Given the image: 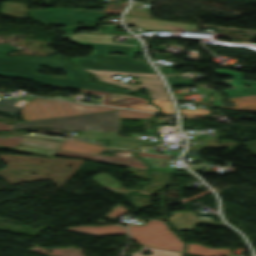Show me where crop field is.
<instances>
[{
	"label": "crop field",
	"mask_w": 256,
	"mask_h": 256,
	"mask_svg": "<svg viewBox=\"0 0 256 256\" xmlns=\"http://www.w3.org/2000/svg\"><path fill=\"white\" fill-rule=\"evenodd\" d=\"M43 85L72 88V87L59 86V85H53V84H47V83H43ZM72 89H78V88H72ZM79 90L82 93L101 95V104H104V105L159 112V109L157 107L153 105H149L150 103L148 104L147 101L138 97L114 94V93H108V92H102V91L86 90V89H79Z\"/></svg>",
	"instance_id": "5a996713"
},
{
	"label": "crop field",
	"mask_w": 256,
	"mask_h": 256,
	"mask_svg": "<svg viewBox=\"0 0 256 256\" xmlns=\"http://www.w3.org/2000/svg\"><path fill=\"white\" fill-rule=\"evenodd\" d=\"M99 80L120 85L122 87L128 88L133 91H137L142 87H146L151 94V98H157L162 100H169L165 90L163 89V84L160 79L153 78H139L141 85H128L124 84L116 79H113L111 75H101V74H93Z\"/></svg>",
	"instance_id": "3316defc"
},
{
	"label": "crop field",
	"mask_w": 256,
	"mask_h": 256,
	"mask_svg": "<svg viewBox=\"0 0 256 256\" xmlns=\"http://www.w3.org/2000/svg\"><path fill=\"white\" fill-rule=\"evenodd\" d=\"M188 254L199 255V256H229V249H210L202 246L201 244H187ZM220 253V255H218Z\"/></svg>",
	"instance_id": "cbeb9de0"
},
{
	"label": "crop field",
	"mask_w": 256,
	"mask_h": 256,
	"mask_svg": "<svg viewBox=\"0 0 256 256\" xmlns=\"http://www.w3.org/2000/svg\"><path fill=\"white\" fill-rule=\"evenodd\" d=\"M163 75H169V74H163Z\"/></svg>",
	"instance_id": "e1f06a70"
},
{
	"label": "crop field",
	"mask_w": 256,
	"mask_h": 256,
	"mask_svg": "<svg viewBox=\"0 0 256 256\" xmlns=\"http://www.w3.org/2000/svg\"><path fill=\"white\" fill-rule=\"evenodd\" d=\"M141 248L142 249L140 251L130 254V256H142L141 254L147 250L153 252V255H150V256H180L181 254L179 252L155 249V248H150L145 246H142Z\"/></svg>",
	"instance_id": "214f88e0"
},
{
	"label": "crop field",
	"mask_w": 256,
	"mask_h": 256,
	"mask_svg": "<svg viewBox=\"0 0 256 256\" xmlns=\"http://www.w3.org/2000/svg\"><path fill=\"white\" fill-rule=\"evenodd\" d=\"M28 4L25 3H18V2H11V1H6L2 3V13L4 15H11V17H19V18H25V12ZM5 7H10V8H18L22 10H17V9H9ZM3 10H9V11H17V12H22V13H16V12H8V11H3Z\"/></svg>",
	"instance_id": "4a817a6b"
},
{
	"label": "crop field",
	"mask_w": 256,
	"mask_h": 256,
	"mask_svg": "<svg viewBox=\"0 0 256 256\" xmlns=\"http://www.w3.org/2000/svg\"><path fill=\"white\" fill-rule=\"evenodd\" d=\"M14 50L18 49L6 44L0 45V76L131 95L115 88L89 82L87 75L59 57L7 58L3 56L4 53ZM42 65L66 71L67 79L36 74Z\"/></svg>",
	"instance_id": "8a807250"
},
{
	"label": "crop field",
	"mask_w": 256,
	"mask_h": 256,
	"mask_svg": "<svg viewBox=\"0 0 256 256\" xmlns=\"http://www.w3.org/2000/svg\"><path fill=\"white\" fill-rule=\"evenodd\" d=\"M92 179H94L97 183L101 184L102 186L106 187L107 189L115 193H118V194L126 193V190L120 185L119 181H117L116 179H114L113 177H111L105 172L100 173L98 176Z\"/></svg>",
	"instance_id": "733c2abd"
},
{
	"label": "crop field",
	"mask_w": 256,
	"mask_h": 256,
	"mask_svg": "<svg viewBox=\"0 0 256 256\" xmlns=\"http://www.w3.org/2000/svg\"><path fill=\"white\" fill-rule=\"evenodd\" d=\"M107 51L110 50L95 48L88 58L69 59L73 64L81 69L156 74L146 61L132 60L134 54L128 53V57L106 56Z\"/></svg>",
	"instance_id": "412701ff"
},
{
	"label": "crop field",
	"mask_w": 256,
	"mask_h": 256,
	"mask_svg": "<svg viewBox=\"0 0 256 256\" xmlns=\"http://www.w3.org/2000/svg\"><path fill=\"white\" fill-rule=\"evenodd\" d=\"M82 12V10L66 8H53L48 10L34 9L30 11L29 15L31 16V18L38 20L46 25H64V30L95 26L96 23L82 26L66 25L77 24L81 22H97V20L103 19L107 16L104 13L100 12L86 11L85 15H83Z\"/></svg>",
	"instance_id": "e52e79f7"
},
{
	"label": "crop field",
	"mask_w": 256,
	"mask_h": 256,
	"mask_svg": "<svg viewBox=\"0 0 256 256\" xmlns=\"http://www.w3.org/2000/svg\"><path fill=\"white\" fill-rule=\"evenodd\" d=\"M21 138L8 137L6 139H0V145L15 147Z\"/></svg>",
	"instance_id": "730fd06b"
},
{
	"label": "crop field",
	"mask_w": 256,
	"mask_h": 256,
	"mask_svg": "<svg viewBox=\"0 0 256 256\" xmlns=\"http://www.w3.org/2000/svg\"><path fill=\"white\" fill-rule=\"evenodd\" d=\"M127 170L133 172V175H135V176H140V177H145V178H148V177H149V176L146 174V171H147V170H144V169H139V168H134V167H128Z\"/></svg>",
	"instance_id": "d3111659"
},
{
	"label": "crop field",
	"mask_w": 256,
	"mask_h": 256,
	"mask_svg": "<svg viewBox=\"0 0 256 256\" xmlns=\"http://www.w3.org/2000/svg\"><path fill=\"white\" fill-rule=\"evenodd\" d=\"M152 174H153L152 183L145 186L140 192L151 193L170 183V173L152 171Z\"/></svg>",
	"instance_id": "d9b57169"
},
{
	"label": "crop field",
	"mask_w": 256,
	"mask_h": 256,
	"mask_svg": "<svg viewBox=\"0 0 256 256\" xmlns=\"http://www.w3.org/2000/svg\"><path fill=\"white\" fill-rule=\"evenodd\" d=\"M112 35L106 34H92V33H84V34H76L70 35V41L78 43L80 45L92 46L110 50L124 51L135 53L140 50V43L136 38L129 37L126 44L112 43L110 42V38Z\"/></svg>",
	"instance_id": "d8731c3e"
},
{
	"label": "crop field",
	"mask_w": 256,
	"mask_h": 256,
	"mask_svg": "<svg viewBox=\"0 0 256 256\" xmlns=\"http://www.w3.org/2000/svg\"><path fill=\"white\" fill-rule=\"evenodd\" d=\"M167 218L178 230L192 229L194 223L222 224L221 222H212L210 218L197 217L194 212H176Z\"/></svg>",
	"instance_id": "28ad6ade"
},
{
	"label": "crop field",
	"mask_w": 256,
	"mask_h": 256,
	"mask_svg": "<svg viewBox=\"0 0 256 256\" xmlns=\"http://www.w3.org/2000/svg\"><path fill=\"white\" fill-rule=\"evenodd\" d=\"M102 149H108L106 147H101L95 144L83 142L76 139L66 140L62 146L59 148L56 154L67 155L82 159L107 162L120 164L125 166H134L139 168H148V164L144 161L138 159L132 154V151L116 152V157L104 156V155H90L91 153H96Z\"/></svg>",
	"instance_id": "f4fd0767"
},
{
	"label": "crop field",
	"mask_w": 256,
	"mask_h": 256,
	"mask_svg": "<svg viewBox=\"0 0 256 256\" xmlns=\"http://www.w3.org/2000/svg\"><path fill=\"white\" fill-rule=\"evenodd\" d=\"M214 71L219 73L220 75H233L234 78L243 79L242 73H236L230 70H223V69H214Z\"/></svg>",
	"instance_id": "eef30255"
},
{
	"label": "crop field",
	"mask_w": 256,
	"mask_h": 256,
	"mask_svg": "<svg viewBox=\"0 0 256 256\" xmlns=\"http://www.w3.org/2000/svg\"><path fill=\"white\" fill-rule=\"evenodd\" d=\"M134 5H135V3H132V5L130 6V8L127 11L126 15H128V16H136V17L152 18V16L150 15L149 11L133 9Z\"/></svg>",
	"instance_id": "92a150f3"
},
{
	"label": "crop field",
	"mask_w": 256,
	"mask_h": 256,
	"mask_svg": "<svg viewBox=\"0 0 256 256\" xmlns=\"http://www.w3.org/2000/svg\"><path fill=\"white\" fill-rule=\"evenodd\" d=\"M153 103L160 106L163 109V113H174L172 105L168 101L152 99Z\"/></svg>",
	"instance_id": "00972430"
},
{
	"label": "crop field",
	"mask_w": 256,
	"mask_h": 256,
	"mask_svg": "<svg viewBox=\"0 0 256 256\" xmlns=\"http://www.w3.org/2000/svg\"><path fill=\"white\" fill-rule=\"evenodd\" d=\"M226 82L228 85H231L233 87V89L222 90L229 97L256 94V82L237 80V79H231ZM248 84H251L252 87L243 88ZM235 92H239V93L236 94Z\"/></svg>",
	"instance_id": "22f410ed"
},
{
	"label": "crop field",
	"mask_w": 256,
	"mask_h": 256,
	"mask_svg": "<svg viewBox=\"0 0 256 256\" xmlns=\"http://www.w3.org/2000/svg\"><path fill=\"white\" fill-rule=\"evenodd\" d=\"M118 208L119 209H117V207H115L113 209V212L108 214V215H106L105 217L110 218V219H114V218L118 217L119 215L127 212V210H123V206H121V205L118 206Z\"/></svg>",
	"instance_id": "ae1a2a85"
},
{
	"label": "crop field",
	"mask_w": 256,
	"mask_h": 256,
	"mask_svg": "<svg viewBox=\"0 0 256 256\" xmlns=\"http://www.w3.org/2000/svg\"><path fill=\"white\" fill-rule=\"evenodd\" d=\"M187 94H197V93L192 92ZM187 94H179V95H187ZM228 101L234 102L236 106H233V107L223 106L224 108H230V109H236V110H242V111H249V110L256 109V95L228 98ZM253 112H256V111H253Z\"/></svg>",
	"instance_id": "5142ce71"
},
{
	"label": "crop field",
	"mask_w": 256,
	"mask_h": 256,
	"mask_svg": "<svg viewBox=\"0 0 256 256\" xmlns=\"http://www.w3.org/2000/svg\"><path fill=\"white\" fill-rule=\"evenodd\" d=\"M89 71H90L91 73H101V74H120V75H136V76H152V77H159L158 75H150V74L108 72V71H97V70H89Z\"/></svg>",
	"instance_id": "a9b5d70f"
},
{
	"label": "crop field",
	"mask_w": 256,
	"mask_h": 256,
	"mask_svg": "<svg viewBox=\"0 0 256 256\" xmlns=\"http://www.w3.org/2000/svg\"><path fill=\"white\" fill-rule=\"evenodd\" d=\"M16 102V100L0 98V111L10 113V116L15 117L21 109L20 107L12 106Z\"/></svg>",
	"instance_id": "bc2a9ffb"
},
{
	"label": "crop field",
	"mask_w": 256,
	"mask_h": 256,
	"mask_svg": "<svg viewBox=\"0 0 256 256\" xmlns=\"http://www.w3.org/2000/svg\"><path fill=\"white\" fill-rule=\"evenodd\" d=\"M131 197L134 201V204H137V205L143 204L142 201L146 200V198H143V197H137V196H131Z\"/></svg>",
	"instance_id": "120bbe31"
},
{
	"label": "crop field",
	"mask_w": 256,
	"mask_h": 256,
	"mask_svg": "<svg viewBox=\"0 0 256 256\" xmlns=\"http://www.w3.org/2000/svg\"><path fill=\"white\" fill-rule=\"evenodd\" d=\"M182 114H210V110L207 109H189V110H181Z\"/></svg>",
	"instance_id": "750c4746"
},
{
	"label": "crop field",
	"mask_w": 256,
	"mask_h": 256,
	"mask_svg": "<svg viewBox=\"0 0 256 256\" xmlns=\"http://www.w3.org/2000/svg\"><path fill=\"white\" fill-rule=\"evenodd\" d=\"M110 110H119V117L149 118L153 113H146L134 110H123L105 106L80 105L75 102L34 98L21 109V114L25 121L78 115ZM153 116V115H152Z\"/></svg>",
	"instance_id": "34b2d1b8"
},
{
	"label": "crop field",
	"mask_w": 256,
	"mask_h": 256,
	"mask_svg": "<svg viewBox=\"0 0 256 256\" xmlns=\"http://www.w3.org/2000/svg\"><path fill=\"white\" fill-rule=\"evenodd\" d=\"M169 86L193 84L192 80L176 81L175 76L165 77Z\"/></svg>",
	"instance_id": "4177f3b9"
},
{
	"label": "crop field",
	"mask_w": 256,
	"mask_h": 256,
	"mask_svg": "<svg viewBox=\"0 0 256 256\" xmlns=\"http://www.w3.org/2000/svg\"><path fill=\"white\" fill-rule=\"evenodd\" d=\"M68 230L80 232L82 234L93 235V236L127 234L126 229L119 226L76 227V228H69Z\"/></svg>",
	"instance_id": "d1516ede"
},
{
	"label": "crop field",
	"mask_w": 256,
	"mask_h": 256,
	"mask_svg": "<svg viewBox=\"0 0 256 256\" xmlns=\"http://www.w3.org/2000/svg\"><path fill=\"white\" fill-rule=\"evenodd\" d=\"M128 229L131 232L132 239L139 244L183 252L184 243L174 233L170 232L167 225L162 221L151 219L143 226L130 225Z\"/></svg>",
	"instance_id": "dd49c442"
},
{
	"label": "crop field",
	"mask_w": 256,
	"mask_h": 256,
	"mask_svg": "<svg viewBox=\"0 0 256 256\" xmlns=\"http://www.w3.org/2000/svg\"><path fill=\"white\" fill-rule=\"evenodd\" d=\"M102 32H105V33H113V34H125V35H128V34H126L125 32H121V31L103 30Z\"/></svg>",
	"instance_id": "d32e631a"
},
{
	"label": "crop field",
	"mask_w": 256,
	"mask_h": 256,
	"mask_svg": "<svg viewBox=\"0 0 256 256\" xmlns=\"http://www.w3.org/2000/svg\"><path fill=\"white\" fill-rule=\"evenodd\" d=\"M117 125L118 111L20 122L14 124V130L27 127L81 130L75 137L91 140L99 138L111 139L110 146L125 149H134L141 143H156L154 141L117 136Z\"/></svg>",
	"instance_id": "ac0d7876"
},
{
	"label": "crop field",
	"mask_w": 256,
	"mask_h": 256,
	"mask_svg": "<svg viewBox=\"0 0 256 256\" xmlns=\"http://www.w3.org/2000/svg\"><path fill=\"white\" fill-rule=\"evenodd\" d=\"M139 156L145 157H153V158H163V159H171V156H162V155H153V154H145V153H137Z\"/></svg>",
	"instance_id": "bd1437ed"
},
{
	"label": "crop field",
	"mask_w": 256,
	"mask_h": 256,
	"mask_svg": "<svg viewBox=\"0 0 256 256\" xmlns=\"http://www.w3.org/2000/svg\"><path fill=\"white\" fill-rule=\"evenodd\" d=\"M102 28H106V29H115V27H111V26H104V27H102Z\"/></svg>",
	"instance_id": "028f5c9d"
},
{
	"label": "crop field",
	"mask_w": 256,
	"mask_h": 256,
	"mask_svg": "<svg viewBox=\"0 0 256 256\" xmlns=\"http://www.w3.org/2000/svg\"><path fill=\"white\" fill-rule=\"evenodd\" d=\"M0 130H13V124H5L0 122Z\"/></svg>",
	"instance_id": "1d83c4d3"
},
{
	"label": "crop field",
	"mask_w": 256,
	"mask_h": 256,
	"mask_svg": "<svg viewBox=\"0 0 256 256\" xmlns=\"http://www.w3.org/2000/svg\"><path fill=\"white\" fill-rule=\"evenodd\" d=\"M126 4L127 2H121L119 5H115L114 3H112L106 6L104 12L120 14L123 11Z\"/></svg>",
	"instance_id": "dafd665d"
},
{
	"label": "crop field",
	"mask_w": 256,
	"mask_h": 256,
	"mask_svg": "<svg viewBox=\"0 0 256 256\" xmlns=\"http://www.w3.org/2000/svg\"><path fill=\"white\" fill-rule=\"evenodd\" d=\"M161 73H174L173 69H160Z\"/></svg>",
	"instance_id": "5866460e"
}]
</instances>
